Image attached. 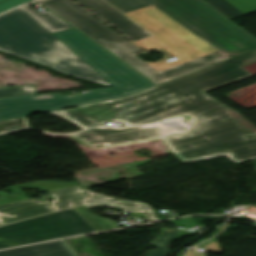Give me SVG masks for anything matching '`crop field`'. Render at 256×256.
<instances>
[{"mask_svg": "<svg viewBox=\"0 0 256 256\" xmlns=\"http://www.w3.org/2000/svg\"><path fill=\"white\" fill-rule=\"evenodd\" d=\"M55 113L85 128L111 121L144 125L188 115L193 130L178 131L156 124L124 129L95 127L67 136L92 149L162 140L167 153L182 163L222 154L235 163L256 159V137L240 140L224 109L172 81L125 98Z\"/></svg>", "mask_w": 256, "mask_h": 256, "instance_id": "obj_1", "label": "crop field"}, {"mask_svg": "<svg viewBox=\"0 0 256 256\" xmlns=\"http://www.w3.org/2000/svg\"><path fill=\"white\" fill-rule=\"evenodd\" d=\"M204 68L256 49V39L201 0H105Z\"/></svg>", "mask_w": 256, "mask_h": 256, "instance_id": "obj_2", "label": "crop field"}, {"mask_svg": "<svg viewBox=\"0 0 256 256\" xmlns=\"http://www.w3.org/2000/svg\"><path fill=\"white\" fill-rule=\"evenodd\" d=\"M74 29L54 35L109 81L114 88L94 90L74 97L45 94L0 98V121L55 111L66 106L121 98L155 86Z\"/></svg>", "mask_w": 256, "mask_h": 256, "instance_id": "obj_3", "label": "crop field"}, {"mask_svg": "<svg viewBox=\"0 0 256 256\" xmlns=\"http://www.w3.org/2000/svg\"><path fill=\"white\" fill-rule=\"evenodd\" d=\"M0 50L65 74L111 85L22 8L0 16Z\"/></svg>", "mask_w": 256, "mask_h": 256, "instance_id": "obj_4", "label": "crop field"}, {"mask_svg": "<svg viewBox=\"0 0 256 256\" xmlns=\"http://www.w3.org/2000/svg\"><path fill=\"white\" fill-rule=\"evenodd\" d=\"M40 3L137 69L157 85L201 69L187 59L170 64L165 61L169 59L166 56L163 60L157 61L155 64L145 63L135 56L143 53L140 49L107 27L73 1L46 0L41 1Z\"/></svg>", "mask_w": 256, "mask_h": 256, "instance_id": "obj_5", "label": "crop field"}, {"mask_svg": "<svg viewBox=\"0 0 256 256\" xmlns=\"http://www.w3.org/2000/svg\"><path fill=\"white\" fill-rule=\"evenodd\" d=\"M256 62V50L239 55L229 60L198 70L172 81L203 96L206 100L223 107L230 116L240 139L256 136V127L238 111L207 96L209 90L245 79L251 74L241 67ZM204 98V99H205Z\"/></svg>", "mask_w": 256, "mask_h": 256, "instance_id": "obj_6", "label": "crop field"}, {"mask_svg": "<svg viewBox=\"0 0 256 256\" xmlns=\"http://www.w3.org/2000/svg\"><path fill=\"white\" fill-rule=\"evenodd\" d=\"M77 234L68 222L56 213L0 227V249Z\"/></svg>", "mask_w": 256, "mask_h": 256, "instance_id": "obj_7", "label": "crop field"}, {"mask_svg": "<svg viewBox=\"0 0 256 256\" xmlns=\"http://www.w3.org/2000/svg\"><path fill=\"white\" fill-rule=\"evenodd\" d=\"M51 194L55 200L51 201L50 204L56 212L83 204L89 208L111 206L124 212H145L150 221L158 220L151 209L152 207L150 208L148 204L106 197L88 189L81 190L78 186L52 191Z\"/></svg>", "mask_w": 256, "mask_h": 256, "instance_id": "obj_8", "label": "crop field"}, {"mask_svg": "<svg viewBox=\"0 0 256 256\" xmlns=\"http://www.w3.org/2000/svg\"><path fill=\"white\" fill-rule=\"evenodd\" d=\"M131 41L145 50L162 46L178 59H185L182 55L167 46L151 33L143 29L131 19L127 18L103 0H76Z\"/></svg>", "mask_w": 256, "mask_h": 256, "instance_id": "obj_9", "label": "crop field"}, {"mask_svg": "<svg viewBox=\"0 0 256 256\" xmlns=\"http://www.w3.org/2000/svg\"><path fill=\"white\" fill-rule=\"evenodd\" d=\"M52 212L47 202L28 199L0 206V225Z\"/></svg>", "mask_w": 256, "mask_h": 256, "instance_id": "obj_10", "label": "crop field"}, {"mask_svg": "<svg viewBox=\"0 0 256 256\" xmlns=\"http://www.w3.org/2000/svg\"><path fill=\"white\" fill-rule=\"evenodd\" d=\"M0 256H76L64 240L0 251Z\"/></svg>", "mask_w": 256, "mask_h": 256, "instance_id": "obj_11", "label": "crop field"}, {"mask_svg": "<svg viewBox=\"0 0 256 256\" xmlns=\"http://www.w3.org/2000/svg\"><path fill=\"white\" fill-rule=\"evenodd\" d=\"M24 8L36 17L52 33L74 28L48 10L37 13L28 5Z\"/></svg>", "mask_w": 256, "mask_h": 256, "instance_id": "obj_12", "label": "crop field"}, {"mask_svg": "<svg viewBox=\"0 0 256 256\" xmlns=\"http://www.w3.org/2000/svg\"><path fill=\"white\" fill-rule=\"evenodd\" d=\"M59 213L79 234L97 231L74 208L60 211Z\"/></svg>", "mask_w": 256, "mask_h": 256, "instance_id": "obj_13", "label": "crop field"}, {"mask_svg": "<svg viewBox=\"0 0 256 256\" xmlns=\"http://www.w3.org/2000/svg\"><path fill=\"white\" fill-rule=\"evenodd\" d=\"M178 233L177 231L166 229L158 239L151 243V245L158 247V249L149 256H166L169 254L166 247Z\"/></svg>", "mask_w": 256, "mask_h": 256, "instance_id": "obj_14", "label": "crop field"}, {"mask_svg": "<svg viewBox=\"0 0 256 256\" xmlns=\"http://www.w3.org/2000/svg\"><path fill=\"white\" fill-rule=\"evenodd\" d=\"M30 128L27 118H19L0 122V134Z\"/></svg>", "mask_w": 256, "mask_h": 256, "instance_id": "obj_15", "label": "crop field"}, {"mask_svg": "<svg viewBox=\"0 0 256 256\" xmlns=\"http://www.w3.org/2000/svg\"><path fill=\"white\" fill-rule=\"evenodd\" d=\"M206 1L229 18L243 14L240 11H238L236 8H234L231 4H229L226 0H206Z\"/></svg>", "mask_w": 256, "mask_h": 256, "instance_id": "obj_16", "label": "crop field"}, {"mask_svg": "<svg viewBox=\"0 0 256 256\" xmlns=\"http://www.w3.org/2000/svg\"><path fill=\"white\" fill-rule=\"evenodd\" d=\"M36 94L34 86L0 89V97Z\"/></svg>", "mask_w": 256, "mask_h": 256, "instance_id": "obj_17", "label": "crop field"}, {"mask_svg": "<svg viewBox=\"0 0 256 256\" xmlns=\"http://www.w3.org/2000/svg\"><path fill=\"white\" fill-rule=\"evenodd\" d=\"M241 12L249 13L256 10V0H227Z\"/></svg>", "mask_w": 256, "mask_h": 256, "instance_id": "obj_18", "label": "crop field"}, {"mask_svg": "<svg viewBox=\"0 0 256 256\" xmlns=\"http://www.w3.org/2000/svg\"><path fill=\"white\" fill-rule=\"evenodd\" d=\"M30 0H10L0 4V13Z\"/></svg>", "mask_w": 256, "mask_h": 256, "instance_id": "obj_19", "label": "crop field"}, {"mask_svg": "<svg viewBox=\"0 0 256 256\" xmlns=\"http://www.w3.org/2000/svg\"><path fill=\"white\" fill-rule=\"evenodd\" d=\"M247 71H249L251 74L255 75L256 74V63L248 65L246 67H243Z\"/></svg>", "mask_w": 256, "mask_h": 256, "instance_id": "obj_20", "label": "crop field"}, {"mask_svg": "<svg viewBox=\"0 0 256 256\" xmlns=\"http://www.w3.org/2000/svg\"><path fill=\"white\" fill-rule=\"evenodd\" d=\"M50 114H52V115H54V116H56V117H59V118H63V117H61V116H59V115H57V114H55V113H53V112H50ZM63 119H65V118H63ZM67 120V119H66ZM69 121V120H68ZM71 122V121H70ZM73 123V122H72ZM75 124V123H74ZM75 125H77V124H75ZM77 126H79V125H77ZM79 127H81V126H79ZM81 128H83V127H81ZM84 129V128H83Z\"/></svg>", "mask_w": 256, "mask_h": 256, "instance_id": "obj_21", "label": "crop field"}, {"mask_svg": "<svg viewBox=\"0 0 256 256\" xmlns=\"http://www.w3.org/2000/svg\"><path fill=\"white\" fill-rule=\"evenodd\" d=\"M0 1H3V0H0Z\"/></svg>", "mask_w": 256, "mask_h": 256, "instance_id": "obj_22", "label": "crop field"}]
</instances>
